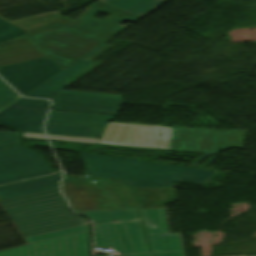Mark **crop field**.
I'll return each mask as SVG.
<instances>
[{"label": "crop field", "instance_id": "crop-field-9", "mask_svg": "<svg viewBox=\"0 0 256 256\" xmlns=\"http://www.w3.org/2000/svg\"><path fill=\"white\" fill-rule=\"evenodd\" d=\"M122 100V95L62 90L53 109L116 115Z\"/></svg>", "mask_w": 256, "mask_h": 256}, {"label": "crop field", "instance_id": "crop-field-3", "mask_svg": "<svg viewBox=\"0 0 256 256\" xmlns=\"http://www.w3.org/2000/svg\"><path fill=\"white\" fill-rule=\"evenodd\" d=\"M79 214L91 218L94 223V247L114 246L118 255L149 253L136 210Z\"/></svg>", "mask_w": 256, "mask_h": 256}, {"label": "crop field", "instance_id": "crop-field-23", "mask_svg": "<svg viewBox=\"0 0 256 256\" xmlns=\"http://www.w3.org/2000/svg\"><path fill=\"white\" fill-rule=\"evenodd\" d=\"M154 256H183V251L153 253Z\"/></svg>", "mask_w": 256, "mask_h": 256}, {"label": "crop field", "instance_id": "crop-field-22", "mask_svg": "<svg viewBox=\"0 0 256 256\" xmlns=\"http://www.w3.org/2000/svg\"><path fill=\"white\" fill-rule=\"evenodd\" d=\"M113 47L112 45L104 50H102L100 53H98L97 55H95L93 58H91L90 60L95 59L97 56H99L100 54H102L104 51H106L107 49ZM102 62H94L91 65H89L88 67H86L85 69H83L82 71H80L79 73H77L76 75H74L73 77H71L69 80H67L65 83H73L74 81H76L77 79H79L80 77H82L83 75H85L87 72H89L90 70H92L93 68H95L96 66H98L99 64H101Z\"/></svg>", "mask_w": 256, "mask_h": 256}, {"label": "crop field", "instance_id": "crop-field-10", "mask_svg": "<svg viewBox=\"0 0 256 256\" xmlns=\"http://www.w3.org/2000/svg\"><path fill=\"white\" fill-rule=\"evenodd\" d=\"M49 102L21 99L0 113V122L23 132L43 133L41 127Z\"/></svg>", "mask_w": 256, "mask_h": 256}, {"label": "crop field", "instance_id": "crop-field-25", "mask_svg": "<svg viewBox=\"0 0 256 256\" xmlns=\"http://www.w3.org/2000/svg\"><path fill=\"white\" fill-rule=\"evenodd\" d=\"M122 256H150V254L122 255Z\"/></svg>", "mask_w": 256, "mask_h": 256}, {"label": "crop field", "instance_id": "crop-field-11", "mask_svg": "<svg viewBox=\"0 0 256 256\" xmlns=\"http://www.w3.org/2000/svg\"><path fill=\"white\" fill-rule=\"evenodd\" d=\"M140 211L153 252L183 250L180 234H169L165 209Z\"/></svg>", "mask_w": 256, "mask_h": 256}, {"label": "crop field", "instance_id": "crop-field-6", "mask_svg": "<svg viewBox=\"0 0 256 256\" xmlns=\"http://www.w3.org/2000/svg\"><path fill=\"white\" fill-rule=\"evenodd\" d=\"M172 128L108 123L100 139L48 135L50 140L169 150ZM160 132L162 135L160 136Z\"/></svg>", "mask_w": 256, "mask_h": 256}, {"label": "crop field", "instance_id": "crop-field-7", "mask_svg": "<svg viewBox=\"0 0 256 256\" xmlns=\"http://www.w3.org/2000/svg\"><path fill=\"white\" fill-rule=\"evenodd\" d=\"M61 71L49 57L0 67V75L23 96Z\"/></svg>", "mask_w": 256, "mask_h": 256}, {"label": "crop field", "instance_id": "crop-field-13", "mask_svg": "<svg viewBox=\"0 0 256 256\" xmlns=\"http://www.w3.org/2000/svg\"><path fill=\"white\" fill-rule=\"evenodd\" d=\"M107 46L109 45H102L86 57L82 58L81 60H79L78 62H76L75 64H73L72 66H70L57 76H55L54 78L50 79L34 91L27 94L26 97L53 99L56 92L69 85L63 83L64 81H66L68 78H70L71 76H73L74 74H76L89 64H91L92 62L86 60L93 57L95 54H97L99 51L106 48Z\"/></svg>", "mask_w": 256, "mask_h": 256}, {"label": "crop field", "instance_id": "crop-field-20", "mask_svg": "<svg viewBox=\"0 0 256 256\" xmlns=\"http://www.w3.org/2000/svg\"><path fill=\"white\" fill-rule=\"evenodd\" d=\"M20 145V132H0V149Z\"/></svg>", "mask_w": 256, "mask_h": 256}, {"label": "crop field", "instance_id": "crop-field-19", "mask_svg": "<svg viewBox=\"0 0 256 256\" xmlns=\"http://www.w3.org/2000/svg\"><path fill=\"white\" fill-rule=\"evenodd\" d=\"M47 134L89 137L93 128L45 124Z\"/></svg>", "mask_w": 256, "mask_h": 256}, {"label": "crop field", "instance_id": "crop-field-1", "mask_svg": "<svg viewBox=\"0 0 256 256\" xmlns=\"http://www.w3.org/2000/svg\"><path fill=\"white\" fill-rule=\"evenodd\" d=\"M80 155L90 177L121 179L125 187L172 188L173 182L202 185L218 173L107 156Z\"/></svg>", "mask_w": 256, "mask_h": 256}, {"label": "crop field", "instance_id": "crop-field-8", "mask_svg": "<svg viewBox=\"0 0 256 256\" xmlns=\"http://www.w3.org/2000/svg\"><path fill=\"white\" fill-rule=\"evenodd\" d=\"M52 172L39 155L23 147L0 150V184Z\"/></svg>", "mask_w": 256, "mask_h": 256}, {"label": "crop field", "instance_id": "crop-field-21", "mask_svg": "<svg viewBox=\"0 0 256 256\" xmlns=\"http://www.w3.org/2000/svg\"><path fill=\"white\" fill-rule=\"evenodd\" d=\"M18 96L12 89H10L4 82L0 80V109L17 99Z\"/></svg>", "mask_w": 256, "mask_h": 256}, {"label": "crop field", "instance_id": "crop-field-15", "mask_svg": "<svg viewBox=\"0 0 256 256\" xmlns=\"http://www.w3.org/2000/svg\"><path fill=\"white\" fill-rule=\"evenodd\" d=\"M111 119L105 116L51 112L47 123L94 127L90 137L100 138Z\"/></svg>", "mask_w": 256, "mask_h": 256}, {"label": "crop field", "instance_id": "crop-field-14", "mask_svg": "<svg viewBox=\"0 0 256 256\" xmlns=\"http://www.w3.org/2000/svg\"><path fill=\"white\" fill-rule=\"evenodd\" d=\"M58 175L55 174L30 181L0 186V200L4 201L55 189Z\"/></svg>", "mask_w": 256, "mask_h": 256}, {"label": "crop field", "instance_id": "crop-field-17", "mask_svg": "<svg viewBox=\"0 0 256 256\" xmlns=\"http://www.w3.org/2000/svg\"><path fill=\"white\" fill-rule=\"evenodd\" d=\"M59 16H61V14L55 11L11 22L0 18V43Z\"/></svg>", "mask_w": 256, "mask_h": 256}, {"label": "crop field", "instance_id": "crop-field-12", "mask_svg": "<svg viewBox=\"0 0 256 256\" xmlns=\"http://www.w3.org/2000/svg\"><path fill=\"white\" fill-rule=\"evenodd\" d=\"M47 55L24 34L0 44V66Z\"/></svg>", "mask_w": 256, "mask_h": 256}, {"label": "crop field", "instance_id": "crop-field-2", "mask_svg": "<svg viewBox=\"0 0 256 256\" xmlns=\"http://www.w3.org/2000/svg\"><path fill=\"white\" fill-rule=\"evenodd\" d=\"M57 190L0 202L23 237L86 223L67 212Z\"/></svg>", "mask_w": 256, "mask_h": 256}, {"label": "crop field", "instance_id": "crop-field-24", "mask_svg": "<svg viewBox=\"0 0 256 256\" xmlns=\"http://www.w3.org/2000/svg\"><path fill=\"white\" fill-rule=\"evenodd\" d=\"M24 137L46 139L44 134L24 133Z\"/></svg>", "mask_w": 256, "mask_h": 256}, {"label": "crop field", "instance_id": "crop-field-4", "mask_svg": "<svg viewBox=\"0 0 256 256\" xmlns=\"http://www.w3.org/2000/svg\"><path fill=\"white\" fill-rule=\"evenodd\" d=\"M62 192L75 212L136 209L118 180L76 179L64 175Z\"/></svg>", "mask_w": 256, "mask_h": 256}, {"label": "crop field", "instance_id": "crop-field-18", "mask_svg": "<svg viewBox=\"0 0 256 256\" xmlns=\"http://www.w3.org/2000/svg\"><path fill=\"white\" fill-rule=\"evenodd\" d=\"M138 16H145L167 2L166 0H100Z\"/></svg>", "mask_w": 256, "mask_h": 256}, {"label": "crop field", "instance_id": "crop-field-16", "mask_svg": "<svg viewBox=\"0 0 256 256\" xmlns=\"http://www.w3.org/2000/svg\"><path fill=\"white\" fill-rule=\"evenodd\" d=\"M139 209L163 208L176 201L174 189L127 188Z\"/></svg>", "mask_w": 256, "mask_h": 256}, {"label": "crop field", "instance_id": "crop-field-5", "mask_svg": "<svg viewBox=\"0 0 256 256\" xmlns=\"http://www.w3.org/2000/svg\"><path fill=\"white\" fill-rule=\"evenodd\" d=\"M28 245L0 251V256H89V224L24 238Z\"/></svg>", "mask_w": 256, "mask_h": 256}]
</instances>
